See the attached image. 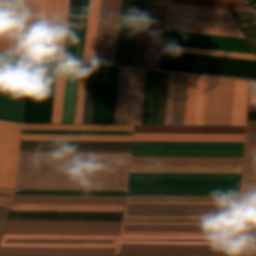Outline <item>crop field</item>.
Wrapping results in <instances>:
<instances>
[{"instance_id":"crop-field-60","label":"crop field","mask_w":256,"mask_h":256,"mask_svg":"<svg viewBox=\"0 0 256 256\" xmlns=\"http://www.w3.org/2000/svg\"><path fill=\"white\" fill-rule=\"evenodd\" d=\"M16 192H43V191H16ZM43 193H99V192H43ZM15 194H42V193H15ZM99 194H126V193H99ZM42 195H98V194H42ZM98 196H125V195H98Z\"/></svg>"},{"instance_id":"crop-field-20","label":"crop field","mask_w":256,"mask_h":256,"mask_svg":"<svg viewBox=\"0 0 256 256\" xmlns=\"http://www.w3.org/2000/svg\"><path fill=\"white\" fill-rule=\"evenodd\" d=\"M240 180L130 179L129 186L239 187Z\"/></svg>"},{"instance_id":"crop-field-40","label":"crop field","mask_w":256,"mask_h":256,"mask_svg":"<svg viewBox=\"0 0 256 256\" xmlns=\"http://www.w3.org/2000/svg\"><path fill=\"white\" fill-rule=\"evenodd\" d=\"M67 63L58 62L52 123H61Z\"/></svg>"},{"instance_id":"crop-field-57","label":"crop field","mask_w":256,"mask_h":256,"mask_svg":"<svg viewBox=\"0 0 256 256\" xmlns=\"http://www.w3.org/2000/svg\"><path fill=\"white\" fill-rule=\"evenodd\" d=\"M176 74L170 73L165 124H171Z\"/></svg>"},{"instance_id":"crop-field-34","label":"crop field","mask_w":256,"mask_h":256,"mask_svg":"<svg viewBox=\"0 0 256 256\" xmlns=\"http://www.w3.org/2000/svg\"><path fill=\"white\" fill-rule=\"evenodd\" d=\"M164 30L244 38L240 30L165 22Z\"/></svg>"},{"instance_id":"crop-field-61","label":"crop field","mask_w":256,"mask_h":256,"mask_svg":"<svg viewBox=\"0 0 256 256\" xmlns=\"http://www.w3.org/2000/svg\"><path fill=\"white\" fill-rule=\"evenodd\" d=\"M239 204H256V193H240Z\"/></svg>"},{"instance_id":"crop-field-28","label":"crop field","mask_w":256,"mask_h":256,"mask_svg":"<svg viewBox=\"0 0 256 256\" xmlns=\"http://www.w3.org/2000/svg\"><path fill=\"white\" fill-rule=\"evenodd\" d=\"M238 197L128 196L126 202L237 203Z\"/></svg>"},{"instance_id":"crop-field-77","label":"crop field","mask_w":256,"mask_h":256,"mask_svg":"<svg viewBox=\"0 0 256 256\" xmlns=\"http://www.w3.org/2000/svg\"><path fill=\"white\" fill-rule=\"evenodd\" d=\"M247 125H256V121H247Z\"/></svg>"},{"instance_id":"crop-field-24","label":"crop field","mask_w":256,"mask_h":256,"mask_svg":"<svg viewBox=\"0 0 256 256\" xmlns=\"http://www.w3.org/2000/svg\"><path fill=\"white\" fill-rule=\"evenodd\" d=\"M119 229L5 228L3 234L118 235Z\"/></svg>"},{"instance_id":"crop-field-11","label":"crop field","mask_w":256,"mask_h":256,"mask_svg":"<svg viewBox=\"0 0 256 256\" xmlns=\"http://www.w3.org/2000/svg\"><path fill=\"white\" fill-rule=\"evenodd\" d=\"M21 124L0 121V187L15 189Z\"/></svg>"},{"instance_id":"crop-field-6","label":"crop field","mask_w":256,"mask_h":256,"mask_svg":"<svg viewBox=\"0 0 256 256\" xmlns=\"http://www.w3.org/2000/svg\"><path fill=\"white\" fill-rule=\"evenodd\" d=\"M237 204L126 203L124 217L236 219Z\"/></svg>"},{"instance_id":"crop-field-65","label":"crop field","mask_w":256,"mask_h":256,"mask_svg":"<svg viewBox=\"0 0 256 256\" xmlns=\"http://www.w3.org/2000/svg\"><path fill=\"white\" fill-rule=\"evenodd\" d=\"M245 144H256V133H246Z\"/></svg>"},{"instance_id":"crop-field-69","label":"crop field","mask_w":256,"mask_h":256,"mask_svg":"<svg viewBox=\"0 0 256 256\" xmlns=\"http://www.w3.org/2000/svg\"><path fill=\"white\" fill-rule=\"evenodd\" d=\"M238 219H256V215H238Z\"/></svg>"},{"instance_id":"crop-field-79","label":"crop field","mask_w":256,"mask_h":256,"mask_svg":"<svg viewBox=\"0 0 256 256\" xmlns=\"http://www.w3.org/2000/svg\"><path fill=\"white\" fill-rule=\"evenodd\" d=\"M242 26H248V24H245V25H241V26H239V27H242Z\"/></svg>"},{"instance_id":"crop-field-59","label":"crop field","mask_w":256,"mask_h":256,"mask_svg":"<svg viewBox=\"0 0 256 256\" xmlns=\"http://www.w3.org/2000/svg\"><path fill=\"white\" fill-rule=\"evenodd\" d=\"M128 194L238 195V193L128 192Z\"/></svg>"},{"instance_id":"crop-field-22","label":"crop field","mask_w":256,"mask_h":256,"mask_svg":"<svg viewBox=\"0 0 256 256\" xmlns=\"http://www.w3.org/2000/svg\"><path fill=\"white\" fill-rule=\"evenodd\" d=\"M244 135L134 134V141L243 142Z\"/></svg>"},{"instance_id":"crop-field-72","label":"crop field","mask_w":256,"mask_h":256,"mask_svg":"<svg viewBox=\"0 0 256 256\" xmlns=\"http://www.w3.org/2000/svg\"><path fill=\"white\" fill-rule=\"evenodd\" d=\"M249 105H256V95H250Z\"/></svg>"},{"instance_id":"crop-field-51","label":"crop field","mask_w":256,"mask_h":256,"mask_svg":"<svg viewBox=\"0 0 256 256\" xmlns=\"http://www.w3.org/2000/svg\"><path fill=\"white\" fill-rule=\"evenodd\" d=\"M239 188L129 187V190L238 192Z\"/></svg>"},{"instance_id":"crop-field-5","label":"crop field","mask_w":256,"mask_h":256,"mask_svg":"<svg viewBox=\"0 0 256 256\" xmlns=\"http://www.w3.org/2000/svg\"><path fill=\"white\" fill-rule=\"evenodd\" d=\"M44 0H13L7 53L37 57Z\"/></svg>"},{"instance_id":"crop-field-63","label":"crop field","mask_w":256,"mask_h":256,"mask_svg":"<svg viewBox=\"0 0 256 256\" xmlns=\"http://www.w3.org/2000/svg\"><path fill=\"white\" fill-rule=\"evenodd\" d=\"M11 194H5V193H0V206L1 207H10L11 200H12Z\"/></svg>"},{"instance_id":"crop-field-2","label":"crop field","mask_w":256,"mask_h":256,"mask_svg":"<svg viewBox=\"0 0 256 256\" xmlns=\"http://www.w3.org/2000/svg\"><path fill=\"white\" fill-rule=\"evenodd\" d=\"M118 236L3 235L0 249L115 250ZM115 251L0 250V254L114 255ZM55 256V255H0Z\"/></svg>"},{"instance_id":"crop-field-78","label":"crop field","mask_w":256,"mask_h":256,"mask_svg":"<svg viewBox=\"0 0 256 256\" xmlns=\"http://www.w3.org/2000/svg\"><path fill=\"white\" fill-rule=\"evenodd\" d=\"M234 256H256V255H234Z\"/></svg>"},{"instance_id":"crop-field-67","label":"crop field","mask_w":256,"mask_h":256,"mask_svg":"<svg viewBox=\"0 0 256 256\" xmlns=\"http://www.w3.org/2000/svg\"><path fill=\"white\" fill-rule=\"evenodd\" d=\"M240 192H256V186H241Z\"/></svg>"},{"instance_id":"crop-field-16","label":"crop field","mask_w":256,"mask_h":256,"mask_svg":"<svg viewBox=\"0 0 256 256\" xmlns=\"http://www.w3.org/2000/svg\"><path fill=\"white\" fill-rule=\"evenodd\" d=\"M122 0H108L100 63L114 64Z\"/></svg>"},{"instance_id":"crop-field-21","label":"crop field","mask_w":256,"mask_h":256,"mask_svg":"<svg viewBox=\"0 0 256 256\" xmlns=\"http://www.w3.org/2000/svg\"><path fill=\"white\" fill-rule=\"evenodd\" d=\"M245 127L135 126L134 133L244 134Z\"/></svg>"},{"instance_id":"crop-field-48","label":"crop field","mask_w":256,"mask_h":256,"mask_svg":"<svg viewBox=\"0 0 256 256\" xmlns=\"http://www.w3.org/2000/svg\"><path fill=\"white\" fill-rule=\"evenodd\" d=\"M87 10H88V0H82L79 32H78V40H77V48H76V56H75V60H79V61H82V57H83Z\"/></svg>"},{"instance_id":"crop-field-50","label":"crop field","mask_w":256,"mask_h":256,"mask_svg":"<svg viewBox=\"0 0 256 256\" xmlns=\"http://www.w3.org/2000/svg\"><path fill=\"white\" fill-rule=\"evenodd\" d=\"M122 222L235 223L236 220L123 218Z\"/></svg>"},{"instance_id":"crop-field-80","label":"crop field","mask_w":256,"mask_h":256,"mask_svg":"<svg viewBox=\"0 0 256 256\" xmlns=\"http://www.w3.org/2000/svg\"><path fill=\"white\" fill-rule=\"evenodd\" d=\"M158 1L166 2V0H158Z\"/></svg>"},{"instance_id":"crop-field-3","label":"crop field","mask_w":256,"mask_h":256,"mask_svg":"<svg viewBox=\"0 0 256 256\" xmlns=\"http://www.w3.org/2000/svg\"><path fill=\"white\" fill-rule=\"evenodd\" d=\"M234 237L120 236L118 245L233 246ZM233 247L118 246L116 255L232 256Z\"/></svg>"},{"instance_id":"crop-field-1","label":"crop field","mask_w":256,"mask_h":256,"mask_svg":"<svg viewBox=\"0 0 256 256\" xmlns=\"http://www.w3.org/2000/svg\"><path fill=\"white\" fill-rule=\"evenodd\" d=\"M130 154L20 153L16 189L127 190Z\"/></svg>"},{"instance_id":"crop-field-70","label":"crop field","mask_w":256,"mask_h":256,"mask_svg":"<svg viewBox=\"0 0 256 256\" xmlns=\"http://www.w3.org/2000/svg\"><path fill=\"white\" fill-rule=\"evenodd\" d=\"M8 210H9V209H7V208H1V207H0V217L6 218V217H7Z\"/></svg>"},{"instance_id":"crop-field-19","label":"crop field","mask_w":256,"mask_h":256,"mask_svg":"<svg viewBox=\"0 0 256 256\" xmlns=\"http://www.w3.org/2000/svg\"><path fill=\"white\" fill-rule=\"evenodd\" d=\"M243 150L133 148L132 156L242 157Z\"/></svg>"},{"instance_id":"crop-field-33","label":"crop field","mask_w":256,"mask_h":256,"mask_svg":"<svg viewBox=\"0 0 256 256\" xmlns=\"http://www.w3.org/2000/svg\"><path fill=\"white\" fill-rule=\"evenodd\" d=\"M133 147L243 149V143L134 142Z\"/></svg>"},{"instance_id":"crop-field-39","label":"crop field","mask_w":256,"mask_h":256,"mask_svg":"<svg viewBox=\"0 0 256 256\" xmlns=\"http://www.w3.org/2000/svg\"><path fill=\"white\" fill-rule=\"evenodd\" d=\"M132 136L22 135L21 140L131 141Z\"/></svg>"},{"instance_id":"crop-field-64","label":"crop field","mask_w":256,"mask_h":256,"mask_svg":"<svg viewBox=\"0 0 256 256\" xmlns=\"http://www.w3.org/2000/svg\"><path fill=\"white\" fill-rule=\"evenodd\" d=\"M244 158H256V145H245Z\"/></svg>"},{"instance_id":"crop-field-62","label":"crop field","mask_w":256,"mask_h":256,"mask_svg":"<svg viewBox=\"0 0 256 256\" xmlns=\"http://www.w3.org/2000/svg\"><path fill=\"white\" fill-rule=\"evenodd\" d=\"M237 229H256V220H238Z\"/></svg>"},{"instance_id":"crop-field-76","label":"crop field","mask_w":256,"mask_h":256,"mask_svg":"<svg viewBox=\"0 0 256 256\" xmlns=\"http://www.w3.org/2000/svg\"><path fill=\"white\" fill-rule=\"evenodd\" d=\"M248 111H256V106H249Z\"/></svg>"},{"instance_id":"crop-field-15","label":"crop field","mask_w":256,"mask_h":256,"mask_svg":"<svg viewBox=\"0 0 256 256\" xmlns=\"http://www.w3.org/2000/svg\"><path fill=\"white\" fill-rule=\"evenodd\" d=\"M146 71L127 69L122 124H141Z\"/></svg>"},{"instance_id":"crop-field-38","label":"crop field","mask_w":256,"mask_h":256,"mask_svg":"<svg viewBox=\"0 0 256 256\" xmlns=\"http://www.w3.org/2000/svg\"><path fill=\"white\" fill-rule=\"evenodd\" d=\"M188 75L177 74L172 124L183 125Z\"/></svg>"},{"instance_id":"crop-field-52","label":"crop field","mask_w":256,"mask_h":256,"mask_svg":"<svg viewBox=\"0 0 256 256\" xmlns=\"http://www.w3.org/2000/svg\"><path fill=\"white\" fill-rule=\"evenodd\" d=\"M126 69L120 68L114 124H121Z\"/></svg>"},{"instance_id":"crop-field-17","label":"crop field","mask_w":256,"mask_h":256,"mask_svg":"<svg viewBox=\"0 0 256 256\" xmlns=\"http://www.w3.org/2000/svg\"><path fill=\"white\" fill-rule=\"evenodd\" d=\"M125 197L15 195L12 203L124 205Z\"/></svg>"},{"instance_id":"crop-field-81","label":"crop field","mask_w":256,"mask_h":256,"mask_svg":"<svg viewBox=\"0 0 256 256\" xmlns=\"http://www.w3.org/2000/svg\"><path fill=\"white\" fill-rule=\"evenodd\" d=\"M150 1H153V0H150Z\"/></svg>"},{"instance_id":"crop-field-37","label":"crop field","mask_w":256,"mask_h":256,"mask_svg":"<svg viewBox=\"0 0 256 256\" xmlns=\"http://www.w3.org/2000/svg\"><path fill=\"white\" fill-rule=\"evenodd\" d=\"M165 4L157 3L149 68L158 69Z\"/></svg>"},{"instance_id":"crop-field-66","label":"crop field","mask_w":256,"mask_h":256,"mask_svg":"<svg viewBox=\"0 0 256 256\" xmlns=\"http://www.w3.org/2000/svg\"><path fill=\"white\" fill-rule=\"evenodd\" d=\"M236 237H256V232H237Z\"/></svg>"},{"instance_id":"crop-field-23","label":"crop field","mask_w":256,"mask_h":256,"mask_svg":"<svg viewBox=\"0 0 256 256\" xmlns=\"http://www.w3.org/2000/svg\"><path fill=\"white\" fill-rule=\"evenodd\" d=\"M241 167L131 166L130 172L240 174Z\"/></svg>"},{"instance_id":"crop-field-41","label":"crop field","mask_w":256,"mask_h":256,"mask_svg":"<svg viewBox=\"0 0 256 256\" xmlns=\"http://www.w3.org/2000/svg\"><path fill=\"white\" fill-rule=\"evenodd\" d=\"M166 12L232 19L229 11L222 9L167 4Z\"/></svg>"},{"instance_id":"crop-field-58","label":"crop field","mask_w":256,"mask_h":256,"mask_svg":"<svg viewBox=\"0 0 256 256\" xmlns=\"http://www.w3.org/2000/svg\"><path fill=\"white\" fill-rule=\"evenodd\" d=\"M156 3L152 2L144 67L148 68Z\"/></svg>"},{"instance_id":"crop-field-53","label":"crop field","mask_w":256,"mask_h":256,"mask_svg":"<svg viewBox=\"0 0 256 256\" xmlns=\"http://www.w3.org/2000/svg\"><path fill=\"white\" fill-rule=\"evenodd\" d=\"M241 185H256V159H244Z\"/></svg>"},{"instance_id":"crop-field-4","label":"crop field","mask_w":256,"mask_h":256,"mask_svg":"<svg viewBox=\"0 0 256 256\" xmlns=\"http://www.w3.org/2000/svg\"><path fill=\"white\" fill-rule=\"evenodd\" d=\"M57 62L29 59L23 123H51Z\"/></svg>"},{"instance_id":"crop-field-36","label":"crop field","mask_w":256,"mask_h":256,"mask_svg":"<svg viewBox=\"0 0 256 256\" xmlns=\"http://www.w3.org/2000/svg\"><path fill=\"white\" fill-rule=\"evenodd\" d=\"M165 21L238 29L234 20L166 13Z\"/></svg>"},{"instance_id":"crop-field-54","label":"crop field","mask_w":256,"mask_h":256,"mask_svg":"<svg viewBox=\"0 0 256 256\" xmlns=\"http://www.w3.org/2000/svg\"><path fill=\"white\" fill-rule=\"evenodd\" d=\"M234 254H256V238H236Z\"/></svg>"},{"instance_id":"crop-field-44","label":"crop field","mask_w":256,"mask_h":256,"mask_svg":"<svg viewBox=\"0 0 256 256\" xmlns=\"http://www.w3.org/2000/svg\"><path fill=\"white\" fill-rule=\"evenodd\" d=\"M12 0L1 1L0 11V52L6 53Z\"/></svg>"},{"instance_id":"crop-field-74","label":"crop field","mask_w":256,"mask_h":256,"mask_svg":"<svg viewBox=\"0 0 256 256\" xmlns=\"http://www.w3.org/2000/svg\"><path fill=\"white\" fill-rule=\"evenodd\" d=\"M246 132H256V127H247Z\"/></svg>"},{"instance_id":"crop-field-30","label":"crop field","mask_w":256,"mask_h":256,"mask_svg":"<svg viewBox=\"0 0 256 256\" xmlns=\"http://www.w3.org/2000/svg\"><path fill=\"white\" fill-rule=\"evenodd\" d=\"M79 64L68 63L62 123H73Z\"/></svg>"},{"instance_id":"crop-field-13","label":"crop field","mask_w":256,"mask_h":256,"mask_svg":"<svg viewBox=\"0 0 256 256\" xmlns=\"http://www.w3.org/2000/svg\"><path fill=\"white\" fill-rule=\"evenodd\" d=\"M234 80L209 77L205 125H230Z\"/></svg>"},{"instance_id":"crop-field-27","label":"crop field","mask_w":256,"mask_h":256,"mask_svg":"<svg viewBox=\"0 0 256 256\" xmlns=\"http://www.w3.org/2000/svg\"><path fill=\"white\" fill-rule=\"evenodd\" d=\"M151 72H156V74L151 73ZM151 72H147V77H146V87H145V98H144L142 123H151L152 107H153V96H154V85H155L154 74H155L156 85H155V96H154L152 124H156L161 72H157V71H151Z\"/></svg>"},{"instance_id":"crop-field-75","label":"crop field","mask_w":256,"mask_h":256,"mask_svg":"<svg viewBox=\"0 0 256 256\" xmlns=\"http://www.w3.org/2000/svg\"><path fill=\"white\" fill-rule=\"evenodd\" d=\"M0 192L11 193V194H13V193H14V191H11V190H5V189H0Z\"/></svg>"},{"instance_id":"crop-field-18","label":"crop field","mask_w":256,"mask_h":256,"mask_svg":"<svg viewBox=\"0 0 256 256\" xmlns=\"http://www.w3.org/2000/svg\"><path fill=\"white\" fill-rule=\"evenodd\" d=\"M242 158L132 157L131 165L241 166Z\"/></svg>"},{"instance_id":"crop-field-10","label":"crop field","mask_w":256,"mask_h":256,"mask_svg":"<svg viewBox=\"0 0 256 256\" xmlns=\"http://www.w3.org/2000/svg\"><path fill=\"white\" fill-rule=\"evenodd\" d=\"M119 68L98 66L92 124H113Z\"/></svg>"},{"instance_id":"crop-field-43","label":"crop field","mask_w":256,"mask_h":256,"mask_svg":"<svg viewBox=\"0 0 256 256\" xmlns=\"http://www.w3.org/2000/svg\"><path fill=\"white\" fill-rule=\"evenodd\" d=\"M130 178L240 179V175L130 173Z\"/></svg>"},{"instance_id":"crop-field-7","label":"crop field","mask_w":256,"mask_h":256,"mask_svg":"<svg viewBox=\"0 0 256 256\" xmlns=\"http://www.w3.org/2000/svg\"><path fill=\"white\" fill-rule=\"evenodd\" d=\"M27 58L1 55L0 119L21 123Z\"/></svg>"},{"instance_id":"crop-field-8","label":"crop field","mask_w":256,"mask_h":256,"mask_svg":"<svg viewBox=\"0 0 256 256\" xmlns=\"http://www.w3.org/2000/svg\"><path fill=\"white\" fill-rule=\"evenodd\" d=\"M69 0H45L38 57L62 59Z\"/></svg>"},{"instance_id":"crop-field-49","label":"crop field","mask_w":256,"mask_h":256,"mask_svg":"<svg viewBox=\"0 0 256 256\" xmlns=\"http://www.w3.org/2000/svg\"><path fill=\"white\" fill-rule=\"evenodd\" d=\"M197 76L189 75L184 125H192Z\"/></svg>"},{"instance_id":"crop-field-31","label":"crop field","mask_w":256,"mask_h":256,"mask_svg":"<svg viewBox=\"0 0 256 256\" xmlns=\"http://www.w3.org/2000/svg\"><path fill=\"white\" fill-rule=\"evenodd\" d=\"M101 0H89L83 61L93 62Z\"/></svg>"},{"instance_id":"crop-field-26","label":"crop field","mask_w":256,"mask_h":256,"mask_svg":"<svg viewBox=\"0 0 256 256\" xmlns=\"http://www.w3.org/2000/svg\"><path fill=\"white\" fill-rule=\"evenodd\" d=\"M124 206L12 204L10 210L122 212Z\"/></svg>"},{"instance_id":"crop-field-46","label":"crop field","mask_w":256,"mask_h":256,"mask_svg":"<svg viewBox=\"0 0 256 256\" xmlns=\"http://www.w3.org/2000/svg\"><path fill=\"white\" fill-rule=\"evenodd\" d=\"M86 69L87 65L80 64L74 123H81L82 119Z\"/></svg>"},{"instance_id":"crop-field-73","label":"crop field","mask_w":256,"mask_h":256,"mask_svg":"<svg viewBox=\"0 0 256 256\" xmlns=\"http://www.w3.org/2000/svg\"><path fill=\"white\" fill-rule=\"evenodd\" d=\"M238 214H256V211H239Z\"/></svg>"},{"instance_id":"crop-field-68","label":"crop field","mask_w":256,"mask_h":256,"mask_svg":"<svg viewBox=\"0 0 256 256\" xmlns=\"http://www.w3.org/2000/svg\"><path fill=\"white\" fill-rule=\"evenodd\" d=\"M239 210H256V205H239Z\"/></svg>"},{"instance_id":"crop-field-35","label":"crop field","mask_w":256,"mask_h":256,"mask_svg":"<svg viewBox=\"0 0 256 256\" xmlns=\"http://www.w3.org/2000/svg\"><path fill=\"white\" fill-rule=\"evenodd\" d=\"M22 130L133 131V126H118V125H23Z\"/></svg>"},{"instance_id":"crop-field-12","label":"crop field","mask_w":256,"mask_h":256,"mask_svg":"<svg viewBox=\"0 0 256 256\" xmlns=\"http://www.w3.org/2000/svg\"><path fill=\"white\" fill-rule=\"evenodd\" d=\"M163 38L175 39V43L163 41V45H168V46L253 54L246 39L169 32V31H164Z\"/></svg>"},{"instance_id":"crop-field-42","label":"crop field","mask_w":256,"mask_h":256,"mask_svg":"<svg viewBox=\"0 0 256 256\" xmlns=\"http://www.w3.org/2000/svg\"><path fill=\"white\" fill-rule=\"evenodd\" d=\"M208 77L198 76L193 125H204Z\"/></svg>"},{"instance_id":"crop-field-56","label":"crop field","mask_w":256,"mask_h":256,"mask_svg":"<svg viewBox=\"0 0 256 256\" xmlns=\"http://www.w3.org/2000/svg\"><path fill=\"white\" fill-rule=\"evenodd\" d=\"M106 2H107V0H102L101 1V9H100V17H99V25H98V34H97V42H96V50H95V58H94V62H97V63H99V59H100V51H101V43H102V35H103V26H104Z\"/></svg>"},{"instance_id":"crop-field-29","label":"crop field","mask_w":256,"mask_h":256,"mask_svg":"<svg viewBox=\"0 0 256 256\" xmlns=\"http://www.w3.org/2000/svg\"><path fill=\"white\" fill-rule=\"evenodd\" d=\"M151 2L141 1L133 66L143 67Z\"/></svg>"},{"instance_id":"crop-field-45","label":"crop field","mask_w":256,"mask_h":256,"mask_svg":"<svg viewBox=\"0 0 256 256\" xmlns=\"http://www.w3.org/2000/svg\"><path fill=\"white\" fill-rule=\"evenodd\" d=\"M168 2L244 10L242 0H168Z\"/></svg>"},{"instance_id":"crop-field-71","label":"crop field","mask_w":256,"mask_h":256,"mask_svg":"<svg viewBox=\"0 0 256 256\" xmlns=\"http://www.w3.org/2000/svg\"><path fill=\"white\" fill-rule=\"evenodd\" d=\"M247 120H256V112H248Z\"/></svg>"},{"instance_id":"crop-field-47","label":"crop field","mask_w":256,"mask_h":256,"mask_svg":"<svg viewBox=\"0 0 256 256\" xmlns=\"http://www.w3.org/2000/svg\"><path fill=\"white\" fill-rule=\"evenodd\" d=\"M162 50L176 51V52H186V53H195V54H205V55H215V56H225V57H234V58H244V59H254V60H256V56L255 55H249V54H239V53H229V52H219V51H208V50H198V49H188V48H178V47H168V46H163Z\"/></svg>"},{"instance_id":"crop-field-14","label":"crop field","mask_w":256,"mask_h":256,"mask_svg":"<svg viewBox=\"0 0 256 256\" xmlns=\"http://www.w3.org/2000/svg\"><path fill=\"white\" fill-rule=\"evenodd\" d=\"M140 1L123 0L115 64L132 66Z\"/></svg>"},{"instance_id":"crop-field-55","label":"crop field","mask_w":256,"mask_h":256,"mask_svg":"<svg viewBox=\"0 0 256 256\" xmlns=\"http://www.w3.org/2000/svg\"><path fill=\"white\" fill-rule=\"evenodd\" d=\"M133 132L22 131V134L132 135Z\"/></svg>"},{"instance_id":"crop-field-9","label":"crop field","mask_w":256,"mask_h":256,"mask_svg":"<svg viewBox=\"0 0 256 256\" xmlns=\"http://www.w3.org/2000/svg\"><path fill=\"white\" fill-rule=\"evenodd\" d=\"M235 224L122 223L120 235L234 236Z\"/></svg>"},{"instance_id":"crop-field-32","label":"crop field","mask_w":256,"mask_h":256,"mask_svg":"<svg viewBox=\"0 0 256 256\" xmlns=\"http://www.w3.org/2000/svg\"><path fill=\"white\" fill-rule=\"evenodd\" d=\"M249 82L235 80L231 125H245Z\"/></svg>"},{"instance_id":"crop-field-25","label":"crop field","mask_w":256,"mask_h":256,"mask_svg":"<svg viewBox=\"0 0 256 256\" xmlns=\"http://www.w3.org/2000/svg\"><path fill=\"white\" fill-rule=\"evenodd\" d=\"M120 222L7 221L5 227L119 228Z\"/></svg>"}]
</instances>
